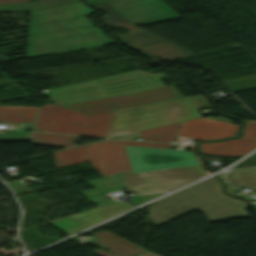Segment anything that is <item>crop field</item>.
<instances>
[{
    "mask_svg": "<svg viewBox=\"0 0 256 256\" xmlns=\"http://www.w3.org/2000/svg\"><path fill=\"white\" fill-rule=\"evenodd\" d=\"M244 135L240 138L256 140V121H247L243 129Z\"/></svg>",
    "mask_w": 256,
    "mask_h": 256,
    "instance_id": "20",
    "label": "crop field"
},
{
    "mask_svg": "<svg viewBox=\"0 0 256 256\" xmlns=\"http://www.w3.org/2000/svg\"><path fill=\"white\" fill-rule=\"evenodd\" d=\"M124 145L166 148L168 144L108 139L53 154L57 168L91 160L92 166L107 176L131 170Z\"/></svg>",
    "mask_w": 256,
    "mask_h": 256,
    "instance_id": "7",
    "label": "crop field"
},
{
    "mask_svg": "<svg viewBox=\"0 0 256 256\" xmlns=\"http://www.w3.org/2000/svg\"><path fill=\"white\" fill-rule=\"evenodd\" d=\"M176 136H177V135L172 134L169 142H171V141H175Z\"/></svg>",
    "mask_w": 256,
    "mask_h": 256,
    "instance_id": "26",
    "label": "crop field"
},
{
    "mask_svg": "<svg viewBox=\"0 0 256 256\" xmlns=\"http://www.w3.org/2000/svg\"><path fill=\"white\" fill-rule=\"evenodd\" d=\"M94 12L80 2L30 12L28 57L111 43L84 17Z\"/></svg>",
    "mask_w": 256,
    "mask_h": 256,
    "instance_id": "1",
    "label": "crop field"
},
{
    "mask_svg": "<svg viewBox=\"0 0 256 256\" xmlns=\"http://www.w3.org/2000/svg\"><path fill=\"white\" fill-rule=\"evenodd\" d=\"M77 0H38L29 3L0 4V12L31 11L39 8L66 4Z\"/></svg>",
    "mask_w": 256,
    "mask_h": 256,
    "instance_id": "19",
    "label": "crop field"
},
{
    "mask_svg": "<svg viewBox=\"0 0 256 256\" xmlns=\"http://www.w3.org/2000/svg\"><path fill=\"white\" fill-rule=\"evenodd\" d=\"M90 4L107 2L134 24L148 25L180 17L162 0H86Z\"/></svg>",
    "mask_w": 256,
    "mask_h": 256,
    "instance_id": "11",
    "label": "crop field"
},
{
    "mask_svg": "<svg viewBox=\"0 0 256 256\" xmlns=\"http://www.w3.org/2000/svg\"><path fill=\"white\" fill-rule=\"evenodd\" d=\"M26 0H0V3L22 2Z\"/></svg>",
    "mask_w": 256,
    "mask_h": 256,
    "instance_id": "25",
    "label": "crop field"
},
{
    "mask_svg": "<svg viewBox=\"0 0 256 256\" xmlns=\"http://www.w3.org/2000/svg\"><path fill=\"white\" fill-rule=\"evenodd\" d=\"M180 123L171 124L167 126H162L126 136H121L119 138H125V139H133L135 137H142L144 140H150V141H162V142H168L171 133H178Z\"/></svg>",
    "mask_w": 256,
    "mask_h": 256,
    "instance_id": "17",
    "label": "crop field"
},
{
    "mask_svg": "<svg viewBox=\"0 0 256 256\" xmlns=\"http://www.w3.org/2000/svg\"><path fill=\"white\" fill-rule=\"evenodd\" d=\"M226 177L237 188L256 190V168L232 170Z\"/></svg>",
    "mask_w": 256,
    "mask_h": 256,
    "instance_id": "18",
    "label": "crop field"
},
{
    "mask_svg": "<svg viewBox=\"0 0 256 256\" xmlns=\"http://www.w3.org/2000/svg\"><path fill=\"white\" fill-rule=\"evenodd\" d=\"M146 216L155 227L179 216V213L200 210L210 222L250 216L246 203L222 193L217 178H211L168 196L166 199L146 208Z\"/></svg>",
    "mask_w": 256,
    "mask_h": 256,
    "instance_id": "2",
    "label": "crop field"
},
{
    "mask_svg": "<svg viewBox=\"0 0 256 256\" xmlns=\"http://www.w3.org/2000/svg\"><path fill=\"white\" fill-rule=\"evenodd\" d=\"M130 207L132 206L125 202H118L112 205L81 213L75 216L67 217L51 223L66 234L70 235L76 231H79L85 227H88Z\"/></svg>",
    "mask_w": 256,
    "mask_h": 256,
    "instance_id": "13",
    "label": "crop field"
},
{
    "mask_svg": "<svg viewBox=\"0 0 256 256\" xmlns=\"http://www.w3.org/2000/svg\"><path fill=\"white\" fill-rule=\"evenodd\" d=\"M255 147V140L230 139L201 143L199 148L204 154L242 156Z\"/></svg>",
    "mask_w": 256,
    "mask_h": 256,
    "instance_id": "14",
    "label": "crop field"
},
{
    "mask_svg": "<svg viewBox=\"0 0 256 256\" xmlns=\"http://www.w3.org/2000/svg\"><path fill=\"white\" fill-rule=\"evenodd\" d=\"M98 240L93 241L104 249H110V254L137 247L136 245L104 230L101 232L94 233Z\"/></svg>",
    "mask_w": 256,
    "mask_h": 256,
    "instance_id": "16",
    "label": "crop field"
},
{
    "mask_svg": "<svg viewBox=\"0 0 256 256\" xmlns=\"http://www.w3.org/2000/svg\"><path fill=\"white\" fill-rule=\"evenodd\" d=\"M113 113L89 117L57 104L43 107L0 106V122H18V128L37 131L105 137Z\"/></svg>",
    "mask_w": 256,
    "mask_h": 256,
    "instance_id": "3",
    "label": "crop field"
},
{
    "mask_svg": "<svg viewBox=\"0 0 256 256\" xmlns=\"http://www.w3.org/2000/svg\"><path fill=\"white\" fill-rule=\"evenodd\" d=\"M171 213H174V214L179 215V216H182V215L186 214V213L179 214V213H176V212H174V211H172Z\"/></svg>",
    "mask_w": 256,
    "mask_h": 256,
    "instance_id": "27",
    "label": "crop field"
},
{
    "mask_svg": "<svg viewBox=\"0 0 256 256\" xmlns=\"http://www.w3.org/2000/svg\"><path fill=\"white\" fill-rule=\"evenodd\" d=\"M162 73L151 74L141 70L44 91L51 98L73 103L93 98L163 86Z\"/></svg>",
    "mask_w": 256,
    "mask_h": 256,
    "instance_id": "6",
    "label": "crop field"
},
{
    "mask_svg": "<svg viewBox=\"0 0 256 256\" xmlns=\"http://www.w3.org/2000/svg\"><path fill=\"white\" fill-rule=\"evenodd\" d=\"M205 118H210V119H215V120H220V121H225V122H230V120H227L225 118H222V117H205Z\"/></svg>",
    "mask_w": 256,
    "mask_h": 256,
    "instance_id": "24",
    "label": "crop field"
},
{
    "mask_svg": "<svg viewBox=\"0 0 256 256\" xmlns=\"http://www.w3.org/2000/svg\"><path fill=\"white\" fill-rule=\"evenodd\" d=\"M160 194H162V193L139 195L136 198H138V199H140V200L145 202V201L150 200V199H152V198H154V197H156V196H158Z\"/></svg>",
    "mask_w": 256,
    "mask_h": 256,
    "instance_id": "23",
    "label": "crop field"
},
{
    "mask_svg": "<svg viewBox=\"0 0 256 256\" xmlns=\"http://www.w3.org/2000/svg\"><path fill=\"white\" fill-rule=\"evenodd\" d=\"M191 99L196 104L198 109L210 107V104L208 103V101L205 99L203 95L192 96Z\"/></svg>",
    "mask_w": 256,
    "mask_h": 256,
    "instance_id": "22",
    "label": "crop field"
},
{
    "mask_svg": "<svg viewBox=\"0 0 256 256\" xmlns=\"http://www.w3.org/2000/svg\"><path fill=\"white\" fill-rule=\"evenodd\" d=\"M31 133V140L33 145L39 146H52L68 148L74 146L77 136L59 135V134H46V133Z\"/></svg>",
    "mask_w": 256,
    "mask_h": 256,
    "instance_id": "15",
    "label": "crop field"
},
{
    "mask_svg": "<svg viewBox=\"0 0 256 256\" xmlns=\"http://www.w3.org/2000/svg\"><path fill=\"white\" fill-rule=\"evenodd\" d=\"M125 147L133 173L199 165L194 153L190 151Z\"/></svg>",
    "mask_w": 256,
    "mask_h": 256,
    "instance_id": "10",
    "label": "crop field"
},
{
    "mask_svg": "<svg viewBox=\"0 0 256 256\" xmlns=\"http://www.w3.org/2000/svg\"><path fill=\"white\" fill-rule=\"evenodd\" d=\"M201 116L190 97L117 110L108 137L130 134Z\"/></svg>",
    "mask_w": 256,
    "mask_h": 256,
    "instance_id": "5",
    "label": "crop field"
},
{
    "mask_svg": "<svg viewBox=\"0 0 256 256\" xmlns=\"http://www.w3.org/2000/svg\"><path fill=\"white\" fill-rule=\"evenodd\" d=\"M17 140V139H30L29 132H24L20 134H14V130H6V135H0V140Z\"/></svg>",
    "mask_w": 256,
    "mask_h": 256,
    "instance_id": "21",
    "label": "crop field"
},
{
    "mask_svg": "<svg viewBox=\"0 0 256 256\" xmlns=\"http://www.w3.org/2000/svg\"><path fill=\"white\" fill-rule=\"evenodd\" d=\"M239 125L200 118L183 123L181 136L197 139H220L232 137Z\"/></svg>",
    "mask_w": 256,
    "mask_h": 256,
    "instance_id": "12",
    "label": "crop field"
},
{
    "mask_svg": "<svg viewBox=\"0 0 256 256\" xmlns=\"http://www.w3.org/2000/svg\"><path fill=\"white\" fill-rule=\"evenodd\" d=\"M181 97L183 96L176 87L174 85H170L73 103L70 105H64V107L90 116L94 114L112 112L113 109Z\"/></svg>",
    "mask_w": 256,
    "mask_h": 256,
    "instance_id": "9",
    "label": "crop field"
},
{
    "mask_svg": "<svg viewBox=\"0 0 256 256\" xmlns=\"http://www.w3.org/2000/svg\"><path fill=\"white\" fill-rule=\"evenodd\" d=\"M205 174L201 166L137 174H132L131 171H129L87 181V184L96 189L82 192V194L99 206L112 202L101 195L105 192L121 190L124 189V187L129 191L138 193L173 190Z\"/></svg>",
    "mask_w": 256,
    "mask_h": 256,
    "instance_id": "4",
    "label": "crop field"
},
{
    "mask_svg": "<svg viewBox=\"0 0 256 256\" xmlns=\"http://www.w3.org/2000/svg\"><path fill=\"white\" fill-rule=\"evenodd\" d=\"M93 6H98L107 13L102 19L108 27L122 26L130 31L123 35L116 34L121 43L130 50L158 57L164 61L192 54L162 38L136 27L107 4Z\"/></svg>",
    "mask_w": 256,
    "mask_h": 256,
    "instance_id": "8",
    "label": "crop field"
}]
</instances>
